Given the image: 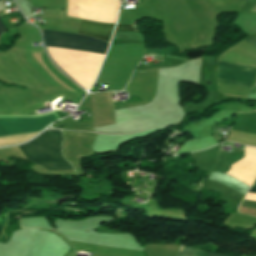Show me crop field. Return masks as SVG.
<instances>
[{
	"instance_id": "crop-field-1",
	"label": "crop field",
	"mask_w": 256,
	"mask_h": 256,
	"mask_svg": "<svg viewBox=\"0 0 256 256\" xmlns=\"http://www.w3.org/2000/svg\"><path fill=\"white\" fill-rule=\"evenodd\" d=\"M60 130H46L37 138L19 146L29 160L51 170L73 169L61 155Z\"/></svg>"
},
{
	"instance_id": "crop-field-2",
	"label": "crop field",
	"mask_w": 256,
	"mask_h": 256,
	"mask_svg": "<svg viewBox=\"0 0 256 256\" xmlns=\"http://www.w3.org/2000/svg\"><path fill=\"white\" fill-rule=\"evenodd\" d=\"M46 46L106 53L108 44L98 39L65 32L42 30Z\"/></svg>"
},
{
	"instance_id": "crop-field-3",
	"label": "crop field",
	"mask_w": 256,
	"mask_h": 256,
	"mask_svg": "<svg viewBox=\"0 0 256 256\" xmlns=\"http://www.w3.org/2000/svg\"><path fill=\"white\" fill-rule=\"evenodd\" d=\"M255 79L256 67L217 62L216 80L252 86Z\"/></svg>"
},
{
	"instance_id": "crop-field-4",
	"label": "crop field",
	"mask_w": 256,
	"mask_h": 256,
	"mask_svg": "<svg viewBox=\"0 0 256 256\" xmlns=\"http://www.w3.org/2000/svg\"><path fill=\"white\" fill-rule=\"evenodd\" d=\"M114 26L115 25L98 24L84 20L78 33L93 36L109 42Z\"/></svg>"
},
{
	"instance_id": "crop-field-5",
	"label": "crop field",
	"mask_w": 256,
	"mask_h": 256,
	"mask_svg": "<svg viewBox=\"0 0 256 256\" xmlns=\"http://www.w3.org/2000/svg\"><path fill=\"white\" fill-rule=\"evenodd\" d=\"M208 179L220 182V183L234 189L235 191L239 192L242 195H245V193L249 187L236 179H233L225 174L218 173V172L211 173Z\"/></svg>"
},
{
	"instance_id": "crop-field-6",
	"label": "crop field",
	"mask_w": 256,
	"mask_h": 256,
	"mask_svg": "<svg viewBox=\"0 0 256 256\" xmlns=\"http://www.w3.org/2000/svg\"><path fill=\"white\" fill-rule=\"evenodd\" d=\"M252 187L256 188V184H253ZM249 192L256 193V189L250 188ZM245 199L256 200V194L248 193ZM248 200H244L240 206L256 208V201H248Z\"/></svg>"
},
{
	"instance_id": "crop-field-7",
	"label": "crop field",
	"mask_w": 256,
	"mask_h": 256,
	"mask_svg": "<svg viewBox=\"0 0 256 256\" xmlns=\"http://www.w3.org/2000/svg\"><path fill=\"white\" fill-rule=\"evenodd\" d=\"M181 249H182V246H181ZM194 251H195L194 249L183 246L182 253H180L179 256H192ZM207 255H208L207 252L196 250L193 256H207Z\"/></svg>"
},
{
	"instance_id": "crop-field-8",
	"label": "crop field",
	"mask_w": 256,
	"mask_h": 256,
	"mask_svg": "<svg viewBox=\"0 0 256 256\" xmlns=\"http://www.w3.org/2000/svg\"><path fill=\"white\" fill-rule=\"evenodd\" d=\"M117 31H135L131 25H117Z\"/></svg>"
},
{
	"instance_id": "crop-field-9",
	"label": "crop field",
	"mask_w": 256,
	"mask_h": 256,
	"mask_svg": "<svg viewBox=\"0 0 256 256\" xmlns=\"http://www.w3.org/2000/svg\"><path fill=\"white\" fill-rule=\"evenodd\" d=\"M7 30L6 27L4 26V24L2 23L1 19H0V33Z\"/></svg>"
},
{
	"instance_id": "crop-field-10",
	"label": "crop field",
	"mask_w": 256,
	"mask_h": 256,
	"mask_svg": "<svg viewBox=\"0 0 256 256\" xmlns=\"http://www.w3.org/2000/svg\"><path fill=\"white\" fill-rule=\"evenodd\" d=\"M208 256H223V255H218V254H212V253H209Z\"/></svg>"
},
{
	"instance_id": "crop-field-11",
	"label": "crop field",
	"mask_w": 256,
	"mask_h": 256,
	"mask_svg": "<svg viewBox=\"0 0 256 256\" xmlns=\"http://www.w3.org/2000/svg\"><path fill=\"white\" fill-rule=\"evenodd\" d=\"M245 1H247V0H245Z\"/></svg>"
}]
</instances>
